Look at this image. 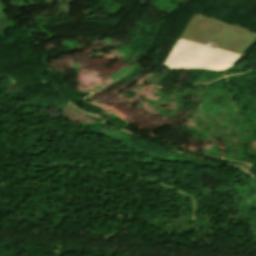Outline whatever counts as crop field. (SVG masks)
Masks as SVG:
<instances>
[{
	"label": "crop field",
	"instance_id": "2",
	"mask_svg": "<svg viewBox=\"0 0 256 256\" xmlns=\"http://www.w3.org/2000/svg\"><path fill=\"white\" fill-rule=\"evenodd\" d=\"M242 57L243 55L179 38L163 66L170 71L191 68L223 71L236 65Z\"/></svg>",
	"mask_w": 256,
	"mask_h": 256
},
{
	"label": "crop field",
	"instance_id": "3",
	"mask_svg": "<svg viewBox=\"0 0 256 256\" xmlns=\"http://www.w3.org/2000/svg\"><path fill=\"white\" fill-rule=\"evenodd\" d=\"M8 10L0 0V31L9 30L15 28V22L9 20L3 11Z\"/></svg>",
	"mask_w": 256,
	"mask_h": 256
},
{
	"label": "crop field",
	"instance_id": "1",
	"mask_svg": "<svg viewBox=\"0 0 256 256\" xmlns=\"http://www.w3.org/2000/svg\"><path fill=\"white\" fill-rule=\"evenodd\" d=\"M245 55L256 44V33L194 13L181 37Z\"/></svg>",
	"mask_w": 256,
	"mask_h": 256
}]
</instances>
